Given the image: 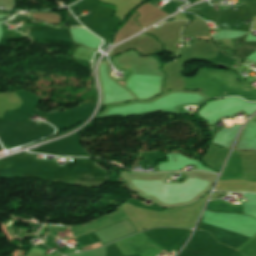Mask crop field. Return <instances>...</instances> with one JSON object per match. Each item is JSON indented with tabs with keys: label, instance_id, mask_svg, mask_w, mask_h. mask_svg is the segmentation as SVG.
Segmentation results:
<instances>
[{
	"label": "crop field",
	"instance_id": "1",
	"mask_svg": "<svg viewBox=\"0 0 256 256\" xmlns=\"http://www.w3.org/2000/svg\"><path fill=\"white\" fill-rule=\"evenodd\" d=\"M96 247H100V245L99 244L92 245V248H96Z\"/></svg>",
	"mask_w": 256,
	"mask_h": 256
},
{
	"label": "crop field",
	"instance_id": "2",
	"mask_svg": "<svg viewBox=\"0 0 256 256\" xmlns=\"http://www.w3.org/2000/svg\"><path fill=\"white\" fill-rule=\"evenodd\" d=\"M119 82V81H118ZM119 83H121V82H119Z\"/></svg>",
	"mask_w": 256,
	"mask_h": 256
}]
</instances>
